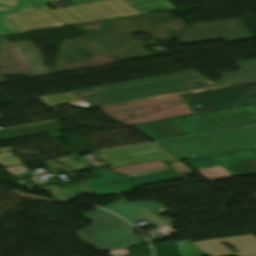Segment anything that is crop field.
I'll return each instance as SVG.
<instances>
[{
    "label": "crop field",
    "mask_w": 256,
    "mask_h": 256,
    "mask_svg": "<svg viewBox=\"0 0 256 256\" xmlns=\"http://www.w3.org/2000/svg\"><path fill=\"white\" fill-rule=\"evenodd\" d=\"M242 71L222 74L213 83L196 71L141 79L120 84L72 91L94 108L164 96L195 89L256 80V61L236 63Z\"/></svg>",
    "instance_id": "8a807250"
},
{
    "label": "crop field",
    "mask_w": 256,
    "mask_h": 256,
    "mask_svg": "<svg viewBox=\"0 0 256 256\" xmlns=\"http://www.w3.org/2000/svg\"><path fill=\"white\" fill-rule=\"evenodd\" d=\"M150 15L151 13H144L73 24L88 36L65 40L61 47L95 41L117 59L148 56L150 54L143 45L157 44L156 40L173 38ZM133 32L148 33L153 39L140 45L131 35Z\"/></svg>",
    "instance_id": "ac0d7876"
},
{
    "label": "crop field",
    "mask_w": 256,
    "mask_h": 256,
    "mask_svg": "<svg viewBox=\"0 0 256 256\" xmlns=\"http://www.w3.org/2000/svg\"><path fill=\"white\" fill-rule=\"evenodd\" d=\"M172 8L166 0H110L55 10L45 7L66 24Z\"/></svg>",
    "instance_id": "34b2d1b8"
},
{
    "label": "crop field",
    "mask_w": 256,
    "mask_h": 256,
    "mask_svg": "<svg viewBox=\"0 0 256 256\" xmlns=\"http://www.w3.org/2000/svg\"><path fill=\"white\" fill-rule=\"evenodd\" d=\"M256 127L158 142L160 146L180 159L189 158L190 155H204L224 151L252 148L256 145ZM231 134L247 147L243 146L227 134ZM180 148H178L177 146Z\"/></svg>",
    "instance_id": "412701ff"
},
{
    "label": "crop field",
    "mask_w": 256,
    "mask_h": 256,
    "mask_svg": "<svg viewBox=\"0 0 256 256\" xmlns=\"http://www.w3.org/2000/svg\"><path fill=\"white\" fill-rule=\"evenodd\" d=\"M83 215L93 222L90 227L77 231L80 239L87 244L101 251L138 244L133 226L119 217L101 209Z\"/></svg>",
    "instance_id": "f4fd0767"
},
{
    "label": "crop field",
    "mask_w": 256,
    "mask_h": 256,
    "mask_svg": "<svg viewBox=\"0 0 256 256\" xmlns=\"http://www.w3.org/2000/svg\"><path fill=\"white\" fill-rule=\"evenodd\" d=\"M168 30H183L173 32L177 40L183 43L225 38L228 42L246 40L250 38L241 20H227L210 23L190 24L191 29L183 25L180 19H174L168 12L153 14Z\"/></svg>",
    "instance_id": "dd49c442"
},
{
    "label": "crop field",
    "mask_w": 256,
    "mask_h": 256,
    "mask_svg": "<svg viewBox=\"0 0 256 256\" xmlns=\"http://www.w3.org/2000/svg\"><path fill=\"white\" fill-rule=\"evenodd\" d=\"M172 121L192 135L256 125V105L177 118Z\"/></svg>",
    "instance_id": "e52e79f7"
},
{
    "label": "crop field",
    "mask_w": 256,
    "mask_h": 256,
    "mask_svg": "<svg viewBox=\"0 0 256 256\" xmlns=\"http://www.w3.org/2000/svg\"><path fill=\"white\" fill-rule=\"evenodd\" d=\"M208 179L256 172V149L186 160Z\"/></svg>",
    "instance_id": "d8731c3e"
},
{
    "label": "crop field",
    "mask_w": 256,
    "mask_h": 256,
    "mask_svg": "<svg viewBox=\"0 0 256 256\" xmlns=\"http://www.w3.org/2000/svg\"><path fill=\"white\" fill-rule=\"evenodd\" d=\"M195 112L256 102V81L184 94Z\"/></svg>",
    "instance_id": "5a996713"
},
{
    "label": "crop field",
    "mask_w": 256,
    "mask_h": 256,
    "mask_svg": "<svg viewBox=\"0 0 256 256\" xmlns=\"http://www.w3.org/2000/svg\"><path fill=\"white\" fill-rule=\"evenodd\" d=\"M96 158L104 159L105 162L103 163L109 167L134 164L141 160L162 159L172 161L177 159L153 143L102 152Z\"/></svg>",
    "instance_id": "3316defc"
},
{
    "label": "crop field",
    "mask_w": 256,
    "mask_h": 256,
    "mask_svg": "<svg viewBox=\"0 0 256 256\" xmlns=\"http://www.w3.org/2000/svg\"><path fill=\"white\" fill-rule=\"evenodd\" d=\"M222 240L232 246L239 253H233L220 244L219 242ZM194 244L210 256H256V238L252 235L200 241L194 242Z\"/></svg>",
    "instance_id": "28ad6ade"
},
{
    "label": "crop field",
    "mask_w": 256,
    "mask_h": 256,
    "mask_svg": "<svg viewBox=\"0 0 256 256\" xmlns=\"http://www.w3.org/2000/svg\"><path fill=\"white\" fill-rule=\"evenodd\" d=\"M163 207L162 205L158 204L157 202H125L120 200L103 208H107L121 217L125 218L126 220L134 223L138 220H145L157 227L167 223L160 219L159 217L155 216L154 214L150 213L149 211H153L155 209ZM156 227V228H157Z\"/></svg>",
    "instance_id": "d1516ede"
},
{
    "label": "crop field",
    "mask_w": 256,
    "mask_h": 256,
    "mask_svg": "<svg viewBox=\"0 0 256 256\" xmlns=\"http://www.w3.org/2000/svg\"><path fill=\"white\" fill-rule=\"evenodd\" d=\"M0 33L20 31L8 19L38 8L29 0H0Z\"/></svg>",
    "instance_id": "22f410ed"
},
{
    "label": "crop field",
    "mask_w": 256,
    "mask_h": 256,
    "mask_svg": "<svg viewBox=\"0 0 256 256\" xmlns=\"http://www.w3.org/2000/svg\"><path fill=\"white\" fill-rule=\"evenodd\" d=\"M61 129L63 128L57 121L27 125L12 129L1 130L0 140L36 135L47 132H50L53 137L56 138L61 136L57 131Z\"/></svg>",
    "instance_id": "cbeb9de0"
},
{
    "label": "crop field",
    "mask_w": 256,
    "mask_h": 256,
    "mask_svg": "<svg viewBox=\"0 0 256 256\" xmlns=\"http://www.w3.org/2000/svg\"><path fill=\"white\" fill-rule=\"evenodd\" d=\"M12 21L23 30L63 24L42 9L14 18Z\"/></svg>",
    "instance_id": "5142ce71"
},
{
    "label": "crop field",
    "mask_w": 256,
    "mask_h": 256,
    "mask_svg": "<svg viewBox=\"0 0 256 256\" xmlns=\"http://www.w3.org/2000/svg\"><path fill=\"white\" fill-rule=\"evenodd\" d=\"M168 169L169 168H167L161 162L155 161V162L132 165V166H127V167H122V168H117V169H112V170L119 172L121 174H128L130 176H134V175H140V174L157 172V171L168 170ZM177 178H180V177L179 176L170 177V178H165V179L137 183L135 185L138 186V185H144V184L155 183V182L166 181V180L177 179Z\"/></svg>",
    "instance_id": "d9b57169"
},
{
    "label": "crop field",
    "mask_w": 256,
    "mask_h": 256,
    "mask_svg": "<svg viewBox=\"0 0 256 256\" xmlns=\"http://www.w3.org/2000/svg\"><path fill=\"white\" fill-rule=\"evenodd\" d=\"M40 189L41 191L50 190L55 200L74 199L75 195L90 193L82 186L60 188L59 185H51V186L40 187ZM61 189L63 190V192L66 194L67 197L65 196V194L62 192Z\"/></svg>",
    "instance_id": "733c2abd"
},
{
    "label": "crop field",
    "mask_w": 256,
    "mask_h": 256,
    "mask_svg": "<svg viewBox=\"0 0 256 256\" xmlns=\"http://www.w3.org/2000/svg\"><path fill=\"white\" fill-rule=\"evenodd\" d=\"M181 256H204L206 255L201 249L189 242L188 240L175 242Z\"/></svg>",
    "instance_id": "4a817a6b"
},
{
    "label": "crop field",
    "mask_w": 256,
    "mask_h": 256,
    "mask_svg": "<svg viewBox=\"0 0 256 256\" xmlns=\"http://www.w3.org/2000/svg\"><path fill=\"white\" fill-rule=\"evenodd\" d=\"M39 99L50 107H54L59 103L74 102L79 100L69 93L39 97Z\"/></svg>",
    "instance_id": "bc2a9ffb"
},
{
    "label": "crop field",
    "mask_w": 256,
    "mask_h": 256,
    "mask_svg": "<svg viewBox=\"0 0 256 256\" xmlns=\"http://www.w3.org/2000/svg\"><path fill=\"white\" fill-rule=\"evenodd\" d=\"M63 159H67V160L65 161ZM55 161H57L63 165H66L74 170L83 169L86 166V164H84L80 161H77L71 157L59 158V159H55Z\"/></svg>",
    "instance_id": "214f88e0"
},
{
    "label": "crop field",
    "mask_w": 256,
    "mask_h": 256,
    "mask_svg": "<svg viewBox=\"0 0 256 256\" xmlns=\"http://www.w3.org/2000/svg\"><path fill=\"white\" fill-rule=\"evenodd\" d=\"M0 161H1L2 167L22 164L21 161L15 158L13 155L0 157Z\"/></svg>",
    "instance_id": "92a150f3"
},
{
    "label": "crop field",
    "mask_w": 256,
    "mask_h": 256,
    "mask_svg": "<svg viewBox=\"0 0 256 256\" xmlns=\"http://www.w3.org/2000/svg\"><path fill=\"white\" fill-rule=\"evenodd\" d=\"M169 166L172 167L176 172H178L184 178H186V176H184L182 174L183 172L193 171V170L189 169L187 166H185L181 161L171 163V164H169Z\"/></svg>",
    "instance_id": "dafd665d"
},
{
    "label": "crop field",
    "mask_w": 256,
    "mask_h": 256,
    "mask_svg": "<svg viewBox=\"0 0 256 256\" xmlns=\"http://www.w3.org/2000/svg\"><path fill=\"white\" fill-rule=\"evenodd\" d=\"M5 170L9 171L10 173H12L14 175L19 174V173L24 172V171H27V169H25L23 165L14 166V167H7V168H5Z\"/></svg>",
    "instance_id": "00972430"
},
{
    "label": "crop field",
    "mask_w": 256,
    "mask_h": 256,
    "mask_svg": "<svg viewBox=\"0 0 256 256\" xmlns=\"http://www.w3.org/2000/svg\"><path fill=\"white\" fill-rule=\"evenodd\" d=\"M45 163H47V164H48L49 166H51V167L57 166V167H59V168L65 170V171H67V172L74 171V170H72V169H70V168H67V167H65V166H63V165H61V164H58V163H56V162H54V161H52V160L46 161Z\"/></svg>",
    "instance_id": "a9b5d70f"
},
{
    "label": "crop field",
    "mask_w": 256,
    "mask_h": 256,
    "mask_svg": "<svg viewBox=\"0 0 256 256\" xmlns=\"http://www.w3.org/2000/svg\"><path fill=\"white\" fill-rule=\"evenodd\" d=\"M32 1H34L37 4L43 6V5H47V4L53 3L55 1H58V0H32Z\"/></svg>",
    "instance_id": "4177f3b9"
},
{
    "label": "crop field",
    "mask_w": 256,
    "mask_h": 256,
    "mask_svg": "<svg viewBox=\"0 0 256 256\" xmlns=\"http://www.w3.org/2000/svg\"><path fill=\"white\" fill-rule=\"evenodd\" d=\"M69 1L72 2L74 5H76V4L86 3V2L97 1V0H69Z\"/></svg>",
    "instance_id": "730fd06b"
},
{
    "label": "crop field",
    "mask_w": 256,
    "mask_h": 256,
    "mask_svg": "<svg viewBox=\"0 0 256 256\" xmlns=\"http://www.w3.org/2000/svg\"><path fill=\"white\" fill-rule=\"evenodd\" d=\"M94 181H100V179H96V180H88L86 182H94Z\"/></svg>",
    "instance_id": "eef30255"
},
{
    "label": "crop field",
    "mask_w": 256,
    "mask_h": 256,
    "mask_svg": "<svg viewBox=\"0 0 256 256\" xmlns=\"http://www.w3.org/2000/svg\"><path fill=\"white\" fill-rule=\"evenodd\" d=\"M255 195H256V193H255Z\"/></svg>",
    "instance_id": "ae1a2a85"
}]
</instances>
